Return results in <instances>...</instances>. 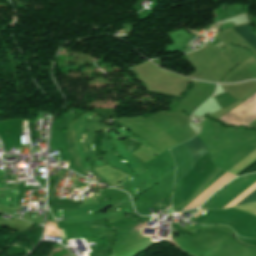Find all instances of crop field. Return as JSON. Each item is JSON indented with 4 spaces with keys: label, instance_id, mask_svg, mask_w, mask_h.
<instances>
[{
    "label": "crop field",
    "instance_id": "1",
    "mask_svg": "<svg viewBox=\"0 0 256 256\" xmlns=\"http://www.w3.org/2000/svg\"><path fill=\"white\" fill-rule=\"evenodd\" d=\"M190 152L198 159L199 157L205 155L208 152V149L204 144L196 137L183 143Z\"/></svg>",
    "mask_w": 256,
    "mask_h": 256
},
{
    "label": "crop field",
    "instance_id": "2",
    "mask_svg": "<svg viewBox=\"0 0 256 256\" xmlns=\"http://www.w3.org/2000/svg\"><path fill=\"white\" fill-rule=\"evenodd\" d=\"M240 36H242L251 46L256 49V36L250 30L248 24L232 27Z\"/></svg>",
    "mask_w": 256,
    "mask_h": 256
},
{
    "label": "crop field",
    "instance_id": "3",
    "mask_svg": "<svg viewBox=\"0 0 256 256\" xmlns=\"http://www.w3.org/2000/svg\"><path fill=\"white\" fill-rule=\"evenodd\" d=\"M214 99L218 104L219 108L233 102V100L226 93L214 96Z\"/></svg>",
    "mask_w": 256,
    "mask_h": 256
},
{
    "label": "crop field",
    "instance_id": "4",
    "mask_svg": "<svg viewBox=\"0 0 256 256\" xmlns=\"http://www.w3.org/2000/svg\"><path fill=\"white\" fill-rule=\"evenodd\" d=\"M248 202H256V190L252 192L249 196L239 202L237 205L248 203ZM236 206V205H235Z\"/></svg>",
    "mask_w": 256,
    "mask_h": 256
},
{
    "label": "crop field",
    "instance_id": "5",
    "mask_svg": "<svg viewBox=\"0 0 256 256\" xmlns=\"http://www.w3.org/2000/svg\"><path fill=\"white\" fill-rule=\"evenodd\" d=\"M61 236H62L63 239L65 238V236H64V230H61Z\"/></svg>",
    "mask_w": 256,
    "mask_h": 256
}]
</instances>
